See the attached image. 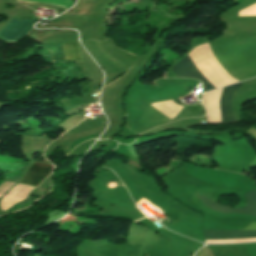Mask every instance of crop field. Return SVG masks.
I'll list each match as a JSON object with an SVG mask.
<instances>
[{
  "label": "crop field",
  "instance_id": "crop-field-1",
  "mask_svg": "<svg viewBox=\"0 0 256 256\" xmlns=\"http://www.w3.org/2000/svg\"><path fill=\"white\" fill-rule=\"evenodd\" d=\"M171 69L178 77H191L202 81L204 84V92L214 89V87L196 69L189 54Z\"/></svg>",
  "mask_w": 256,
  "mask_h": 256
},
{
  "label": "crop field",
  "instance_id": "crop-field-2",
  "mask_svg": "<svg viewBox=\"0 0 256 256\" xmlns=\"http://www.w3.org/2000/svg\"><path fill=\"white\" fill-rule=\"evenodd\" d=\"M245 196L247 199V206L244 209L229 208L226 206L218 205L206 197H199V198L204 204H206L207 206L217 211L227 212V213H246V214L256 216V191L253 190V191L247 192L245 193Z\"/></svg>",
  "mask_w": 256,
  "mask_h": 256
},
{
  "label": "crop field",
  "instance_id": "crop-field-3",
  "mask_svg": "<svg viewBox=\"0 0 256 256\" xmlns=\"http://www.w3.org/2000/svg\"><path fill=\"white\" fill-rule=\"evenodd\" d=\"M35 20L21 21L10 19L6 27L1 31L0 38L4 40H20L24 37Z\"/></svg>",
  "mask_w": 256,
  "mask_h": 256
},
{
  "label": "crop field",
  "instance_id": "crop-field-4",
  "mask_svg": "<svg viewBox=\"0 0 256 256\" xmlns=\"http://www.w3.org/2000/svg\"><path fill=\"white\" fill-rule=\"evenodd\" d=\"M241 230H256V222H251ZM205 240L244 239L256 237V231H204Z\"/></svg>",
  "mask_w": 256,
  "mask_h": 256
},
{
  "label": "crop field",
  "instance_id": "crop-field-5",
  "mask_svg": "<svg viewBox=\"0 0 256 256\" xmlns=\"http://www.w3.org/2000/svg\"><path fill=\"white\" fill-rule=\"evenodd\" d=\"M53 167V165L35 161L24 178L21 180V183L31 184L38 187L42 180L50 175Z\"/></svg>",
  "mask_w": 256,
  "mask_h": 256
},
{
  "label": "crop field",
  "instance_id": "crop-field-6",
  "mask_svg": "<svg viewBox=\"0 0 256 256\" xmlns=\"http://www.w3.org/2000/svg\"><path fill=\"white\" fill-rule=\"evenodd\" d=\"M241 86L242 84L237 83L223 88L220 98V109L223 122H230L235 120L230 107L231 97L233 92Z\"/></svg>",
  "mask_w": 256,
  "mask_h": 256
},
{
  "label": "crop field",
  "instance_id": "crop-field-7",
  "mask_svg": "<svg viewBox=\"0 0 256 256\" xmlns=\"http://www.w3.org/2000/svg\"><path fill=\"white\" fill-rule=\"evenodd\" d=\"M63 46H64V50H65V57H66V59L80 60V58H79V56L77 54L78 50H77L76 42L66 43V44H63ZM63 46H62V48H63Z\"/></svg>",
  "mask_w": 256,
  "mask_h": 256
},
{
  "label": "crop field",
  "instance_id": "crop-field-8",
  "mask_svg": "<svg viewBox=\"0 0 256 256\" xmlns=\"http://www.w3.org/2000/svg\"><path fill=\"white\" fill-rule=\"evenodd\" d=\"M18 1H20V2H24V3H30V2H26V1H21V0H18Z\"/></svg>",
  "mask_w": 256,
  "mask_h": 256
}]
</instances>
